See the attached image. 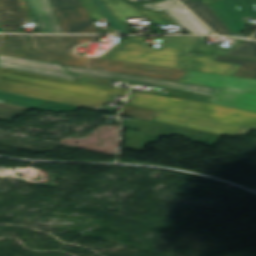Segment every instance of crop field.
<instances>
[{
  "label": "crop field",
  "instance_id": "4",
  "mask_svg": "<svg viewBox=\"0 0 256 256\" xmlns=\"http://www.w3.org/2000/svg\"><path fill=\"white\" fill-rule=\"evenodd\" d=\"M30 39L33 50L61 64L85 67L92 57L78 54L76 48L88 41H98V36H30Z\"/></svg>",
  "mask_w": 256,
  "mask_h": 256
},
{
  "label": "crop field",
  "instance_id": "27",
  "mask_svg": "<svg viewBox=\"0 0 256 256\" xmlns=\"http://www.w3.org/2000/svg\"><path fill=\"white\" fill-rule=\"evenodd\" d=\"M140 13H142L148 20H150L155 25L175 22L165 12L143 10L140 11Z\"/></svg>",
  "mask_w": 256,
  "mask_h": 256
},
{
  "label": "crop field",
  "instance_id": "3",
  "mask_svg": "<svg viewBox=\"0 0 256 256\" xmlns=\"http://www.w3.org/2000/svg\"><path fill=\"white\" fill-rule=\"evenodd\" d=\"M198 39L164 37L157 49L148 47L145 37L130 36L100 58L184 69Z\"/></svg>",
  "mask_w": 256,
  "mask_h": 256
},
{
  "label": "crop field",
  "instance_id": "15",
  "mask_svg": "<svg viewBox=\"0 0 256 256\" xmlns=\"http://www.w3.org/2000/svg\"><path fill=\"white\" fill-rule=\"evenodd\" d=\"M0 102L53 112H75L78 107L54 103L0 91Z\"/></svg>",
  "mask_w": 256,
  "mask_h": 256
},
{
  "label": "crop field",
  "instance_id": "24",
  "mask_svg": "<svg viewBox=\"0 0 256 256\" xmlns=\"http://www.w3.org/2000/svg\"><path fill=\"white\" fill-rule=\"evenodd\" d=\"M155 113H156L155 110L144 109V108L128 106V105H124L120 112L121 115L149 120V121H152Z\"/></svg>",
  "mask_w": 256,
  "mask_h": 256
},
{
  "label": "crop field",
  "instance_id": "28",
  "mask_svg": "<svg viewBox=\"0 0 256 256\" xmlns=\"http://www.w3.org/2000/svg\"><path fill=\"white\" fill-rule=\"evenodd\" d=\"M81 1L83 2L84 6L86 7L88 12L90 13L93 20L104 19V17L101 15L99 10L96 8V6L92 2V0H81Z\"/></svg>",
  "mask_w": 256,
  "mask_h": 256
},
{
  "label": "crop field",
  "instance_id": "33",
  "mask_svg": "<svg viewBox=\"0 0 256 256\" xmlns=\"http://www.w3.org/2000/svg\"><path fill=\"white\" fill-rule=\"evenodd\" d=\"M251 38H255L256 39V34H254Z\"/></svg>",
  "mask_w": 256,
  "mask_h": 256
},
{
  "label": "crop field",
  "instance_id": "23",
  "mask_svg": "<svg viewBox=\"0 0 256 256\" xmlns=\"http://www.w3.org/2000/svg\"><path fill=\"white\" fill-rule=\"evenodd\" d=\"M225 56L256 60V42L247 41L242 45H240L239 47L232 50L231 52L227 53Z\"/></svg>",
  "mask_w": 256,
  "mask_h": 256
},
{
  "label": "crop field",
  "instance_id": "8",
  "mask_svg": "<svg viewBox=\"0 0 256 256\" xmlns=\"http://www.w3.org/2000/svg\"><path fill=\"white\" fill-rule=\"evenodd\" d=\"M0 67L72 81H75L77 77L75 75H69L59 64L15 57L0 56Z\"/></svg>",
  "mask_w": 256,
  "mask_h": 256
},
{
  "label": "crop field",
  "instance_id": "30",
  "mask_svg": "<svg viewBox=\"0 0 256 256\" xmlns=\"http://www.w3.org/2000/svg\"><path fill=\"white\" fill-rule=\"evenodd\" d=\"M185 5H187L189 8L193 6H199L205 4L202 0H195V1H190V2H185Z\"/></svg>",
  "mask_w": 256,
  "mask_h": 256
},
{
  "label": "crop field",
  "instance_id": "12",
  "mask_svg": "<svg viewBox=\"0 0 256 256\" xmlns=\"http://www.w3.org/2000/svg\"><path fill=\"white\" fill-rule=\"evenodd\" d=\"M0 55L53 62L52 59L30 50L28 38L23 35H0Z\"/></svg>",
  "mask_w": 256,
  "mask_h": 256
},
{
  "label": "crop field",
  "instance_id": "20",
  "mask_svg": "<svg viewBox=\"0 0 256 256\" xmlns=\"http://www.w3.org/2000/svg\"><path fill=\"white\" fill-rule=\"evenodd\" d=\"M109 7L114 11L121 22L127 21L126 18L142 16L126 0H105Z\"/></svg>",
  "mask_w": 256,
  "mask_h": 256
},
{
  "label": "crop field",
  "instance_id": "17",
  "mask_svg": "<svg viewBox=\"0 0 256 256\" xmlns=\"http://www.w3.org/2000/svg\"><path fill=\"white\" fill-rule=\"evenodd\" d=\"M187 33H211L200 21L187 10L167 12Z\"/></svg>",
  "mask_w": 256,
  "mask_h": 256
},
{
  "label": "crop field",
  "instance_id": "21",
  "mask_svg": "<svg viewBox=\"0 0 256 256\" xmlns=\"http://www.w3.org/2000/svg\"><path fill=\"white\" fill-rule=\"evenodd\" d=\"M133 6L138 11L143 9L156 10V11L184 9L183 6L176 0H163V1L151 2V3L133 4Z\"/></svg>",
  "mask_w": 256,
  "mask_h": 256
},
{
  "label": "crop field",
  "instance_id": "26",
  "mask_svg": "<svg viewBox=\"0 0 256 256\" xmlns=\"http://www.w3.org/2000/svg\"><path fill=\"white\" fill-rule=\"evenodd\" d=\"M206 39H207V37H200V39L197 42L196 46L194 47L193 51L208 53V54H215V55H224L227 52L232 50V48H223V47L215 48L213 46L203 44Z\"/></svg>",
  "mask_w": 256,
  "mask_h": 256
},
{
  "label": "crop field",
  "instance_id": "19",
  "mask_svg": "<svg viewBox=\"0 0 256 256\" xmlns=\"http://www.w3.org/2000/svg\"><path fill=\"white\" fill-rule=\"evenodd\" d=\"M215 61L241 64L234 76L256 79V61L220 56H217Z\"/></svg>",
  "mask_w": 256,
  "mask_h": 256
},
{
  "label": "crop field",
  "instance_id": "5",
  "mask_svg": "<svg viewBox=\"0 0 256 256\" xmlns=\"http://www.w3.org/2000/svg\"><path fill=\"white\" fill-rule=\"evenodd\" d=\"M63 33H99L80 0H48Z\"/></svg>",
  "mask_w": 256,
  "mask_h": 256
},
{
  "label": "crop field",
  "instance_id": "9",
  "mask_svg": "<svg viewBox=\"0 0 256 256\" xmlns=\"http://www.w3.org/2000/svg\"><path fill=\"white\" fill-rule=\"evenodd\" d=\"M186 83L256 93V80L187 71Z\"/></svg>",
  "mask_w": 256,
  "mask_h": 256
},
{
  "label": "crop field",
  "instance_id": "22",
  "mask_svg": "<svg viewBox=\"0 0 256 256\" xmlns=\"http://www.w3.org/2000/svg\"><path fill=\"white\" fill-rule=\"evenodd\" d=\"M97 8L100 10L102 15L114 29L115 33H123L129 34L127 30L122 26V24L118 21V19L113 15V13L109 10V8L105 5L102 0H93Z\"/></svg>",
  "mask_w": 256,
  "mask_h": 256
},
{
  "label": "crop field",
  "instance_id": "16",
  "mask_svg": "<svg viewBox=\"0 0 256 256\" xmlns=\"http://www.w3.org/2000/svg\"><path fill=\"white\" fill-rule=\"evenodd\" d=\"M210 103L256 111V94L221 89Z\"/></svg>",
  "mask_w": 256,
  "mask_h": 256
},
{
  "label": "crop field",
  "instance_id": "1",
  "mask_svg": "<svg viewBox=\"0 0 256 256\" xmlns=\"http://www.w3.org/2000/svg\"><path fill=\"white\" fill-rule=\"evenodd\" d=\"M128 104L159 110L155 122L219 135L256 129V112L134 91Z\"/></svg>",
  "mask_w": 256,
  "mask_h": 256
},
{
  "label": "crop field",
  "instance_id": "2",
  "mask_svg": "<svg viewBox=\"0 0 256 256\" xmlns=\"http://www.w3.org/2000/svg\"><path fill=\"white\" fill-rule=\"evenodd\" d=\"M0 90L89 109L100 108L113 94L128 92L1 68Z\"/></svg>",
  "mask_w": 256,
  "mask_h": 256
},
{
  "label": "crop field",
  "instance_id": "6",
  "mask_svg": "<svg viewBox=\"0 0 256 256\" xmlns=\"http://www.w3.org/2000/svg\"><path fill=\"white\" fill-rule=\"evenodd\" d=\"M65 66V65H64ZM70 70L71 73L75 74H82L88 76H94L99 78L111 79V80H118V81H125V82H132L150 86H157L169 89H176L206 95L215 96L217 92L220 90L218 88L200 86V85H193V84H186V83H179L173 81H166L148 77H141V76H134V75H127V74H120V73H113L89 68H81V67H73V66H65Z\"/></svg>",
  "mask_w": 256,
  "mask_h": 256
},
{
  "label": "crop field",
  "instance_id": "32",
  "mask_svg": "<svg viewBox=\"0 0 256 256\" xmlns=\"http://www.w3.org/2000/svg\"><path fill=\"white\" fill-rule=\"evenodd\" d=\"M131 2H142V1H139V0H130ZM145 1H148V0H145Z\"/></svg>",
  "mask_w": 256,
  "mask_h": 256
},
{
  "label": "crop field",
  "instance_id": "31",
  "mask_svg": "<svg viewBox=\"0 0 256 256\" xmlns=\"http://www.w3.org/2000/svg\"><path fill=\"white\" fill-rule=\"evenodd\" d=\"M206 4H209L210 2L214 1V0H203Z\"/></svg>",
  "mask_w": 256,
  "mask_h": 256
},
{
  "label": "crop field",
  "instance_id": "7",
  "mask_svg": "<svg viewBox=\"0 0 256 256\" xmlns=\"http://www.w3.org/2000/svg\"><path fill=\"white\" fill-rule=\"evenodd\" d=\"M208 6L232 34L243 31L244 18L256 16V0H216Z\"/></svg>",
  "mask_w": 256,
  "mask_h": 256
},
{
  "label": "crop field",
  "instance_id": "29",
  "mask_svg": "<svg viewBox=\"0 0 256 256\" xmlns=\"http://www.w3.org/2000/svg\"><path fill=\"white\" fill-rule=\"evenodd\" d=\"M86 67L95 68V69H101V70H107V71H113V72H120V73H127V74H134V75H141V76H148V77H155V78H161V79H167V80H173V81H179V82H182V81H183V80H180V79H173V78H165V77L151 76V75H145V74H138V73H132V72H126V71H119V70L101 68V67L90 66V65H87Z\"/></svg>",
  "mask_w": 256,
  "mask_h": 256
},
{
  "label": "crop field",
  "instance_id": "25",
  "mask_svg": "<svg viewBox=\"0 0 256 256\" xmlns=\"http://www.w3.org/2000/svg\"><path fill=\"white\" fill-rule=\"evenodd\" d=\"M28 108L0 103V119L10 121L18 114L22 115Z\"/></svg>",
  "mask_w": 256,
  "mask_h": 256
},
{
  "label": "crop field",
  "instance_id": "13",
  "mask_svg": "<svg viewBox=\"0 0 256 256\" xmlns=\"http://www.w3.org/2000/svg\"><path fill=\"white\" fill-rule=\"evenodd\" d=\"M215 56L191 53L186 70L233 76L239 65L213 62Z\"/></svg>",
  "mask_w": 256,
  "mask_h": 256
},
{
  "label": "crop field",
  "instance_id": "10",
  "mask_svg": "<svg viewBox=\"0 0 256 256\" xmlns=\"http://www.w3.org/2000/svg\"><path fill=\"white\" fill-rule=\"evenodd\" d=\"M90 65L183 79L185 70L92 58Z\"/></svg>",
  "mask_w": 256,
  "mask_h": 256
},
{
  "label": "crop field",
  "instance_id": "14",
  "mask_svg": "<svg viewBox=\"0 0 256 256\" xmlns=\"http://www.w3.org/2000/svg\"><path fill=\"white\" fill-rule=\"evenodd\" d=\"M40 33H62L47 0H26Z\"/></svg>",
  "mask_w": 256,
  "mask_h": 256
},
{
  "label": "crop field",
  "instance_id": "18",
  "mask_svg": "<svg viewBox=\"0 0 256 256\" xmlns=\"http://www.w3.org/2000/svg\"><path fill=\"white\" fill-rule=\"evenodd\" d=\"M190 10L217 34L233 36L207 5L193 7Z\"/></svg>",
  "mask_w": 256,
  "mask_h": 256
},
{
  "label": "crop field",
  "instance_id": "11",
  "mask_svg": "<svg viewBox=\"0 0 256 256\" xmlns=\"http://www.w3.org/2000/svg\"><path fill=\"white\" fill-rule=\"evenodd\" d=\"M29 20V8L25 0H0L1 29L18 31L20 23Z\"/></svg>",
  "mask_w": 256,
  "mask_h": 256
}]
</instances>
